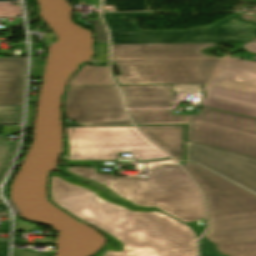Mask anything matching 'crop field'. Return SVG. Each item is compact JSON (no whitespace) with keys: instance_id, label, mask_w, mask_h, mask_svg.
Masks as SVG:
<instances>
[{"instance_id":"4","label":"crop field","mask_w":256,"mask_h":256,"mask_svg":"<svg viewBox=\"0 0 256 256\" xmlns=\"http://www.w3.org/2000/svg\"><path fill=\"white\" fill-rule=\"evenodd\" d=\"M129 112L136 125L187 124V141L256 159V119L204 107L197 116L172 115V110Z\"/></svg>"},{"instance_id":"30","label":"crop field","mask_w":256,"mask_h":256,"mask_svg":"<svg viewBox=\"0 0 256 256\" xmlns=\"http://www.w3.org/2000/svg\"><path fill=\"white\" fill-rule=\"evenodd\" d=\"M69 155H70L69 142H68V138L66 136V153L64 156H62V160H68Z\"/></svg>"},{"instance_id":"24","label":"crop field","mask_w":256,"mask_h":256,"mask_svg":"<svg viewBox=\"0 0 256 256\" xmlns=\"http://www.w3.org/2000/svg\"><path fill=\"white\" fill-rule=\"evenodd\" d=\"M102 232H103V231H102ZM104 233H105V232H104ZM105 234H106V236L109 238V240L118 242V244H117L118 249H114V248L112 247L111 243H108V244L106 245L105 249H104L99 255H97V256H103L107 250L119 252V251H121V250L123 249L122 244H121L120 241H118L116 238L112 237L111 235H109V234H107V233H105Z\"/></svg>"},{"instance_id":"33","label":"crop field","mask_w":256,"mask_h":256,"mask_svg":"<svg viewBox=\"0 0 256 256\" xmlns=\"http://www.w3.org/2000/svg\"><path fill=\"white\" fill-rule=\"evenodd\" d=\"M0 1H19V0H0Z\"/></svg>"},{"instance_id":"8","label":"crop field","mask_w":256,"mask_h":256,"mask_svg":"<svg viewBox=\"0 0 256 256\" xmlns=\"http://www.w3.org/2000/svg\"><path fill=\"white\" fill-rule=\"evenodd\" d=\"M220 60L218 59H165V60H112L122 76V84L209 83Z\"/></svg>"},{"instance_id":"21","label":"crop field","mask_w":256,"mask_h":256,"mask_svg":"<svg viewBox=\"0 0 256 256\" xmlns=\"http://www.w3.org/2000/svg\"><path fill=\"white\" fill-rule=\"evenodd\" d=\"M65 169H66V168H62V170H63L65 173H67V174H69V175H71V176H73V177H75V178H77V179H81V180H83V181H88V182H90V183H92V184H94V185H96V186H98V187H100V188H104V189H105L104 193L106 194V196L111 197V198H114V199H117V200H120V201H123V202H125V203H127V204H129V205H131V206H133V207H135V208H142V206L134 205V204H132V203H130V202H128V201L122 199L121 197L117 196V195L114 194L112 191H110L108 188H106V187H104V186H102V185H100V184H98V183H96V182L89 181V180L83 179V178H81V177H78V176H76V175H74V174H71V173H69L68 171H66Z\"/></svg>"},{"instance_id":"20","label":"crop field","mask_w":256,"mask_h":256,"mask_svg":"<svg viewBox=\"0 0 256 256\" xmlns=\"http://www.w3.org/2000/svg\"><path fill=\"white\" fill-rule=\"evenodd\" d=\"M18 16H21L20 6H14L12 3H0V17Z\"/></svg>"},{"instance_id":"15","label":"crop field","mask_w":256,"mask_h":256,"mask_svg":"<svg viewBox=\"0 0 256 256\" xmlns=\"http://www.w3.org/2000/svg\"><path fill=\"white\" fill-rule=\"evenodd\" d=\"M113 85L107 67L82 65L68 81L67 86Z\"/></svg>"},{"instance_id":"19","label":"crop field","mask_w":256,"mask_h":256,"mask_svg":"<svg viewBox=\"0 0 256 256\" xmlns=\"http://www.w3.org/2000/svg\"><path fill=\"white\" fill-rule=\"evenodd\" d=\"M53 176H57V177H59V178L65 180V181H67V182H69V183H71V184H74V185H76V186L86 188V189H88V190L94 192L98 197L102 198L103 200H105V201H107V202H110V203H112V204H115V205L122 206V207H124V208H126V209H129V210H131V211H136V212H153V211H158V210H156V209H140V210H137V209L131 208V207L127 206V205H124V204H122V203H119V202H117V201H114V200H111V199L106 198V197L102 194V190H99V189H97V188H94V187L88 186V185L77 184V183H75V182H72V181L68 180L67 178H65L64 176H62V175H60V174H58V173H56V172H53V173H52V176H51V177H53Z\"/></svg>"},{"instance_id":"23","label":"crop field","mask_w":256,"mask_h":256,"mask_svg":"<svg viewBox=\"0 0 256 256\" xmlns=\"http://www.w3.org/2000/svg\"><path fill=\"white\" fill-rule=\"evenodd\" d=\"M96 55L93 59H97L98 63H105L108 59V45H95Z\"/></svg>"},{"instance_id":"31","label":"crop field","mask_w":256,"mask_h":256,"mask_svg":"<svg viewBox=\"0 0 256 256\" xmlns=\"http://www.w3.org/2000/svg\"><path fill=\"white\" fill-rule=\"evenodd\" d=\"M8 245L0 244V256H7Z\"/></svg>"},{"instance_id":"32","label":"crop field","mask_w":256,"mask_h":256,"mask_svg":"<svg viewBox=\"0 0 256 256\" xmlns=\"http://www.w3.org/2000/svg\"><path fill=\"white\" fill-rule=\"evenodd\" d=\"M73 5H81L79 0H69Z\"/></svg>"},{"instance_id":"2","label":"crop field","mask_w":256,"mask_h":256,"mask_svg":"<svg viewBox=\"0 0 256 256\" xmlns=\"http://www.w3.org/2000/svg\"><path fill=\"white\" fill-rule=\"evenodd\" d=\"M182 167L202 188L209 232L203 237L228 256H256V195L190 162Z\"/></svg>"},{"instance_id":"34","label":"crop field","mask_w":256,"mask_h":256,"mask_svg":"<svg viewBox=\"0 0 256 256\" xmlns=\"http://www.w3.org/2000/svg\"><path fill=\"white\" fill-rule=\"evenodd\" d=\"M2 215H8V213H0V216H2Z\"/></svg>"},{"instance_id":"29","label":"crop field","mask_w":256,"mask_h":256,"mask_svg":"<svg viewBox=\"0 0 256 256\" xmlns=\"http://www.w3.org/2000/svg\"><path fill=\"white\" fill-rule=\"evenodd\" d=\"M67 164L95 165L94 161H66Z\"/></svg>"},{"instance_id":"18","label":"crop field","mask_w":256,"mask_h":256,"mask_svg":"<svg viewBox=\"0 0 256 256\" xmlns=\"http://www.w3.org/2000/svg\"><path fill=\"white\" fill-rule=\"evenodd\" d=\"M146 0H105L103 5H116L117 11H147Z\"/></svg>"},{"instance_id":"6","label":"crop field","mask_w":256,"mask_h":256,"mask_svg":"<svg viewBox=\"0 0 256 256\" xmlns=\"http://www.w3.org/2000/svg\"><path fill=\"white\" fill-rule=\"evenodd\" d=\"M244 47L256 53V43ZM201 105L256 118V62L231 58L221 61L211 83L206 84Z\"/></svg>"},{"instance_id":"17","label":"crop field","mask_w":256,"mask_h":256,"mask_svg":"<svg viewBox=\"0 0 256 256\" xmlns=\"http://www.w3.org/2000/svg\"><path fill=\"white\" fill-rule=\"evenodd\" d=\"M4 137L0 136V183L7 172L11 159L16 152L18 144H3Z\"/></svg>"},{"instance_id":"16","label":"crop field","mask_w":256,"mask_h":256,"mask_svg":"<svg viewBox=\"0 0 256 256\" xmlns=\"http://www.w3.org/2000/svg\"><path fill=\"white\" fill-rule=\"evenodd\" d=\"M22 118V105H0V124H20Z\"/></svg>"},{"instance_id":"28","label":"crop field","mask_w":256,"mask_h":256,"mask_svg":"<svg viewBox=\"0 0 256 256\" xmlns=\"http://www.w3.org/2000/svg\"><path fill=\"white\" fill-rule=\"evenodd\" d=\"M163 163H175V162L173 160L149 162V163H145L144 168H148L150 166L159 165V164H163Z\"/></svg>"},{"instance_id":"25","label":"crop field","mask_w":256,"mask_h":256,"mask_svg":"<svg viewBox=\"0 0 256 256\" xmlns=\"http://www.w3.org/2000/svg\"><path fill=\"white\" fill-rule=\"evenodd\" d=\"M54 253L48 252H21L13 251V256H52Z\"/></svg>"},{"instance_id":"27","label":"crop field","mask_w":256,"mask_h":256,"mask_svg":"<svg viewBox=\"0 0 256 256\" xmlns=\"http://www.w3.org/2000/svg\"><path fill=\"white\" fill-rule=\"evenodd\" d=\"M202 222H203V226H201V227L197 226L196 221H195V222H192V223H185V224H187V225H189V226L195 228L194 231H195L198 235H200V234L204 231V229H205V220H202Z\"/></svg>"},{"instance_id":"7","label":"crop field","mask_w":256,"mask_h":256,"mask_svg":"<svg viewBox=\"0 0 256 256\" xmlns=\"http://www.w3.org/2000/svg\"><path fill=\"white\" fill-rule=\"evenodd\" d=\"M70 160L115 159L120 152H132L137 160L166 157L134 127L66 128Z\"/></svg>"},{"instance_id":"3","label":"crop field","mask_w":256,"mask_h":256,"mask_svg":"<svg viewBox=\"0 0 256 256\" xmlns=\"http://www.w3.org/2000/svg\"><path fill=\"white\" fill-rule=\"evenodd\" d=\"M67 170L105 185L134 204L156 207L182 222L205 219L202 198L197 187L177 165L148 169L147 178L96 174L95 168Z\"/></svg>"},{"instance_id":"1","label":"crop field","mask_w":256,"mask_h":256,"mask_svg":"<svg viewBox=\"0 0 256 256\" xmlns=\"http://www.w3.org/2000/svg\"><path fill=\"white\" fill-rule=\"evenodd\" d=\"M51 200L60 208L123 243L104 256H196L193 231L161 213H135L99 199L57 177L50 180Z\"/></svg>"},{"instance_id":"26","label":"crop field","mask_w":256,"mask_h":256,"mask_svg":"<svg viewBox=\"0 0 256 256\" xmlns=\"http://www.w3.org/2000/svg\"><path fill=\"white\" fill-rule=\"evenodd\" d=\"M31 75H40V60H32Z\"/></svg>"},{"instance_id":"10","label":"crop field","mask_w":256,"mask_h":256,"mask_svg":"<svg viewBox=\"0 0 256 256\" xmlns=\"http://www.w3.org/2000/svg\"><path fill=\"white\" fill-rule=\"evenodd\" d=\"M186 160L197 162L256 192V160L185 141Z\"/></svg>"},{"instance_id":"22","label":"crop field","mask_w":256,"mask_h":256,"mask_svg":"<svg viewBox=\"0 0 256 256\" xmlns=\"http://www.w3.org/2000/svg\"><path fill=\"white\" fill-rule=\"evenodd\" d=\"M200 256H221L218 255L212 245V243L200 239Z\"/></svg>"},{"instance_id":"12","label":"crop field","mask_w":256,"mask_h":256,"mask_svg":"<svg viewBox=\"0 0 256 256\" xmlns=\"http://www.w3.org/2000/svg\"><path fill=\"white\" fill-rule=\"evenodd\" d=\"M25 62L0 57V104H22Z\"/></svg>"},{"instance_id":"35","label":"crop field","mask_w":256,"mask_h":256,"mask_svg":"<svg viewBox=\"0 0 256 256\" xmlns=\"http://www.w3.org/2000/svg\"><path fill=\"white\" fill-rule=\"evenodd\" d=\"M251 42H256V38H255V39H253V40H251Z\"/></svg>"},{"instance_id":"9","label":"crop field","mask_w":256,"mask_h":256,"mask_svg":"<svg viewBox=\"0 0 256 256\" xmlns=\"http://www.w3.org/2000/svg\"><path fill=\"white\" fill-rule=\"evenodd\" d=\"M64 111L83 125L131 124L115 86L68 87Z\"/></svg>"},{"instance_id":"11","label":"crop field","mask_w":256,"mask_h":256,"mask_svg":"<svg viewBox=\"0 0 256 256\" xmlns=\"http://www.w3.org/2000/svg\"><path fill=\"white\" fill-rule=\"evenodd\" d=\"M211 46L215 44L113 45V59L214 57L199 53L201 48Z\"/></svg>"},{"instance_id":"13","label":"crop field","mask_w":256,"mask_h":256,"mask_svg":"<svg viewBox=\"0 0 256 256\" xmlns=\"http://www.w3.org/2000/svg\"><path fill=\"white\" fill-rule=\"evenodd\" d=\"M129 108L172 107V86H122Z\"/></svg>"},{"instance_id":"5","label":"crop field","mask_w":256,"mask_h":256,"mask_svg":"<svg viewBox=\"0 0 256 256\" xmlns=\"http://www.w3.org/2000/svg\"><path fill=\"white\" fill-rule=\"evenodd\" d=\"M155 13L103 14L111 29L112 44L135 43H232L245 42L256 36V22L234 14L202 28L181 31H141L134 17L155 16Z\"/></svg>"},{"instance_id":"14","label":"crop field","mask_w":256,"mask_h":256,"mask_svg":"<svg viewBox=\"0 0 256 256\" xmlns=\"http://www.w3.org/2000/svg\"><path fill=\"white\" fill-rule=\"evenodd\" d=\"M149 139L181 160L183 126L139 127Z\"/></svg>"}]
</instances>
